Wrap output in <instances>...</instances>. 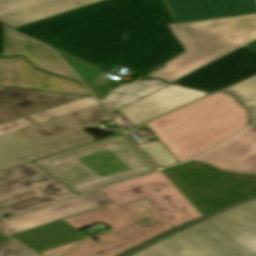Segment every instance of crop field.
I'll list each match as a JSON object with an SVG mask.
<instances>
[{"instance_id":"1","label":"crop field","mask_w":256,"mask_h":256,"mask_svg":"<svg viewBox=\"0 0 256 256\" xmlns=\"http://www.w3.org/2000/svg\"><path fill=\"white\" fill-rule=\"evenodd\" d=\"M171 23L164 0H104L14 30L107 72L123 66L141 77L186 51Z\"/></svg>"},{"instance_id":"2","label":"crop field","mask_w":256,"mask_h":256,"mask_svg":"<svg viewBox=\"0 0 256 256\" xmlns=\"http://www.w3.org/2000/svg\"><path fill=\"white\" fill-rule=\"evenodd\" d=\"M71 192L99 189L155 169L120 133L33 161Z\"/></svg>"},{"instance_id":"3","label":"crop field","mask_w":256,"mask_h":256,"mask_svg":"<svg viewBox=\"0 0 256 256\" xmlns=\"http://www.w3.org/2000/svg\"><path fill=\"white\" fill-rule=\"evenodd\" d=\"M147 125L179 162L249 126L246 109L225 93L210 95Z\"/></svg>"},{"instance_id":"4","label":"crop field","mask_w":256,"mask_h":256,"mask_svg":"<svg viewBox=\"0 0 256 256\" xmlns=\"http://www.w3.org/2000/svg\"><path fill=\"white\" fill-rule=\"evenodd\" d=\"M133 256H256V200L214 215Z\"/></svg>"},{"instance_id":"5","label":"crop field","mask_w":256,"mask_h":256,"mask_svg":"<svg viewBox=\"0 0 256 256\" xmlns=\"http://www.w3.org/2000/svg\"><path fill=\"white\" fill-rule=\"evenodd\" d=\"M187 49L150 77L174 81L256 39V14L172 26Z\"/></svg>"},{"instance_id":"6","label":"crop field","mask_w":256,"mask_h":256,"mask_svg":"<svg viewBox=\"0 0 256 256\" xmlns=\"http://www.w3.org/2000/svg\"><path fill=\"white\" fill-rule=\"evenodd\" d=\"M77 230L104 223L113 230L90 237L65 256H87L99 251L163 233L173 226L147 198L123 205H107L61 219Z\"/></svg>"},{"instance_id":"7","label":"crop field","mask_w":256,"mask_h":256,"mask_svg":"<svg viewBox=\"0 0 256 256\" xmlns=\"http://www.w3.org/2000/svg\"><path fill=\"white\" fill-rule=\"evenodd\" d=\"M162 172L202 215L256 195V175L226 172L195 161Z\"/></svg>"},{"instance_id":"8","label":"crop field","mask_w":256,"mask_h":256,"mask_svg":"<svg viewBox=\"0 0 256 256\" xmlns=\"http://www.w3.org/2000/svg\"><path fill=\"white\" fill-rule=\"evenodd\" d=\"M72 196L32 162L0 172V207L13 215Z\"/></svg>"},{"instance_id":"9","label":"crop field","mask_w":256,"mask_h":256,"mask_svg":"<svg viewBox=\"0 0 256 256\" xmlns=\"http://www.w3.org/2000/svg\"><path fill=\"white\" fill-rule=\"evenodd\" d=\"M99 192L118 206L147 197L174 227L202 216L161 171Z\"/></svg>"},{"instance_id":"10","label":"crop field","mask_w":256,"mask_h":256,"mask_svg":"<svg viewBox=\"0 0 256 256\" xmlns=\"http://www.w3.org/2000/svg\"><path fill=\"white\" fill-rule=\"evenodd\" d=\"M110 119L112 117L94 98L85 97L16 121L34 136L40 137L71 127L100 129V122Z\"/></svg>"},{"instance_id":"11","label":"crop field","mask_w":256,"mask_h":256,"mask_svg":"<svg viewBox=\"0 0 256 256\" xmlns=\"http://www.w3.org/2000/svg\"><path fill=\"white\" fill-rule=\"evenodd\" d=\"M93 141L96 139L77 128L40 138L32 136L0 147V171Z\"/></svg>"},{"instance_id":"12","label":"crop field","mask_w":256,"mask_h":256,"mask_svg":"<svg viewBox=\"0 0 256 256\" xmlns=\"http://www.w3.org/2000/svg\"><path fill=\"white\" fill-rule=\"evenodd\" d=\"M256 73V52L242 47L174 83L218 91Z\"/></svg>"},{"instance_id":"13","label":"crop field","mask_w":256,"mask_h":256,"mask_svg":"<svg viewBox=\"0 0 256 256\" xmlns=\"http://www.w3.org/2000/svg\"><path fill=\"white\" fill-rule=\"evenodd\" d=\"M0 86L90 95L84 86L43 73L23 57L0 59Z\"/></svg>"},{"instance_id":"14","label":"crop field","mask_w":256,"mask_h":256,"mask_svg":"<svg viewBox=\"0 0 256 256\" xmlns=\"http://www.w3.org/2000/svg\"><path fill=\"white\" fill-rule=\"evenodd\" d=\"M194 160L226 171L256 174V128H247Z\"/></svg>"},{"instance_id":"15","label":"crop field","mask_w":256,"mask_h":256,"mask_svg":"<svg viewBox=\"0 0 256 256\" xmlns=\"http://www.w3.org/2000/svg\"><path fill=\"white\" fill-rule=\"evenodd\" d=\"M207 94L211 93L171 84L117 110V112L124 118H128L136 127Z\"/></svg>"},{"instance_id":"16","label":"crop field","mask_w":256,"mask_h":256,"mask_svg":"<svg viewBox=\"0 0 256 256\" xmlns=\"http://www.w3.org/2000/svg\"><path fill=\"white\" fill-rule=\"evenodd\" d=\"M112 203L98 191L0 222V231L11 235L63 217Z\"/></svg>"},{"instance_id":"17","label":"crop field","mask_w":256,"mask_h":256,"mask_svg":"<svg viewBox=\"0 0 256 256\" xmlns=\"http://www.w3.org/2000/svg\"><path fill=\"white\" fill-rule=\"evenodd\" d=\"M101 0H0V24L13 29Z\"/></svg>"},{"instance_id":"18","label":"crop field","mask_w":256,"mask_h":256,"mask_svg":"<svg viewBox=\"0 0 256 256\" xmlns=\"http://www.w3.org/2000/svg\"><path fill=\"white\" fill-rule=\"evenodd\" d=\"M176 23L256 12V0H165Z\"/></svg>"},{"instance_id":"19","label":"crop field","mask_w":256,"mask_h":256,"mask_svg":"<svg viewBox=\"0 0 256 256\" xmlns=\"http://www.w3.org/2000/svg\"><path fill=\"white\" fill-rule=\"evenodd\" d=\"M79 98L82 96L4 88L0 90V123Z\"/></svg>"},{"instance_id":"20","label":"crop field","mask_w":256,"mask_h":256,"mask_svg":"<svg viewBox=\"0 0 256 256\" xmlns=\"http://www.w3.org/2000/svg\"><path fill=\"white\" fill-rule=\"evenodd\" d=\"M14 55H23L42 70L76 79L53 52L3 28L2 57Z\"/></svg>"},{"instance_id":"21","label":"crop field","mask_w":256,"mask_h":256,"mask_svg":"<svg viewBox=\"0 0 256 256\" xmlns=\"http://www.w3.org/2000/svg\"><path fill=\"white\" fill-rule=\"evenodd\" d=\"M11 237L34 252L39 253L87 236L59 220L11 235Z\"/></svg>"},{"instance_id":"22","label":"crop field","mask_w":256,"mask_h":256,"mask_svg":"<svg viewBox=\"0 0 256 256\" xmlns=\"http://www.w3.org/2000/svg\"><path fill=\"white\" fill-rule=\"evenodd\" d=\"M167 85L169 83L160 80H137L119 86L102 103L111 112Z\"/></svg>"},{"instance_id":"23","label":"crop field","mask_w":256,"mask_h":256,"mask_svg":"<svg viewBox=\"0 0 256 256\" xmlns=\"http://www.w3.org/2000/svg\"><path fill=\"white\" fill-rule=\"evenodd\" d=\"M224 92L232 94L250 111L251 124L256 121V77L235 85Z\"/></svg>"},{"instance_id":"24","label":"crop field","mask_w":256,"mask_h":256,"mask_svg":"<svg viewBox=\"0 0 256 256\" xmlns=\"http://www.w3.org/2000/svg\"><path fill=\"white\" fill-rule=\"evenodd\" d=\"M140 150L146 152L158 165L165 167L178 161L168 152V150L158 141L146 142L135 145Z\"/></svg>"},{"instance_id":"25","label":"crop field","mask_w":256,"mask_h":256,"mask_svg":"<svg viewBox=\"0 0 256 256\" xmlns=\"http://www.w3.org/2000/svg\"><path fill=\"white\" fill-rule=\"evenodd\" d=\"M58 54L72 67V69L78 74V76L88 85H94L100 70L81 63L59 51Z\"/></svg>"},{"instance_id":"26","label":"crop field","mask_w":256,"mask_h":256,"mask_svg":"<svg viewBox=\"0 0 256 256\" xmlns=\"http://www.w3.org/2000/svg\"><path fill=\"white\" fill-rule=\"evenodd\" d=\"M32 136L15 120L0 125V146Z\"/></svg>"},{"instance_id":"27","label":"crop field","mask_w":256,"mask_h":256,"mask_svg":"<svg viewBox=\"0 0 256 256\" xmlns=\"http://www.w3.org/2000/svg\"><path fill=\"white\" fill-rule=\"evenodd\" d=\"M26 250L28 249L22 247L12 240L0 244V256H17Z\"/></svg>"},{"instance_id":"28","label":"crop field","mask_w":256,"mask_h":256,"mask_svg":"<svg viewBox=\"0 0 256 256\" xmlns=\"http://www.w3.org/2000/svg\"><path fill=\"white\" fill-rule=\"evenodd\" d=\"M154 237V236H152ZM152 237H149V238H146V239H143V240H139V241H136V242H133V243H130V244H126V245H123V246H120V247H116V248H113V249H109V250H106V251H103V252H100L102 253L100 256H117L118 254L132 248L133 246L141 243V242H144ZM90 256H98L96 254H93V255H90Z\"/></svg>"},{"instance_id":"29","label":"crop field","mask_w":256,"mask_h":256,"mask_svg":"<svg viewBox=\"0 0 256 256\" xmlns=\"http://www.w3.org/2000/svg\"><path fill=\"white\" fill-rule=\"evenodd\" d=\"M79 242V241H77ZM77 242L70 243L52 250H48L42 253H39L42 256H61L64 254L66 251H68L72 246H74Z\"/></svg>"},{"instance_id":"30","label":"crop field","mask_w":256,"mask_h":256,"mask_svg":"<svg viewBox=\"0 0 256 256\" xmlns=\"http://www.w3.org/2000/svg\"><path fill=\"white\" fill-rule=\"evenodd\" d=\"M112 87L113 85L107 87H90V89L98 99H102Z\"/></svg>"},{"instance_id":"31","label":"crop field","mask_w":256,"mask_h":256,"mask_svg":"<svg viewBox=\"0 0 256 256\" xmlns=\"http://www.w3.org/2000/svg\"><path fill=\"white\" fill-rule=\"evenodd\" d=\"M245 46H247V47H249V48H251V49L256 51V40L251 42V43H249V44H247V45H245Z\"/></svg>"},{"instance_id":"32","label":"crop field","mask_w":256,"mask_h":256,"mask_svg":"<svg viewBox=\"0 0 256 256\" xmlns=\"http://www.w3.org/2000/svg\"><path fill=\"white\" fill-rule=\"evenodd\" d=\"M19 256H36V255L33 254L31 251L28 250V251H26V252L20 254Z\"/></svg>"},{"instance_id":"33","label":"crop field","mask_w":256,"mask_h":256,"mask_svg":"<svg viewBox=\"0 0 256 256\" xmlns=\"http://www.w3.org/2000/svg\"><path fill=\"white\" fill-rule=\"evenodd\" d=\"M10 240L8 237L0 234V243Z\"/></svg>"},{"instance_id":"34","label":"crop field","mask_w":256,"mask_h":256,"mask_svg":"<svg viewBox=\"0 0 256 256\" xmlns=\"http://www.w3.org/2000/svg\"><path fill=\"white\" fill-rule=\"evenodd\" d=\"M112 81H116V80L108 79L106 82H104V83H103V84H101V85H106V84H108L109 82H112Z\"/></svg>"},{"instance_id":"35","label":"crop field","mask_w":256,"mask_h":256,"mask_svg":"<svg viewBox=\"0 0 256 256\" xmlns=\"http://www.w3.org/2000/svg\"><path fill=\"white\" fill-rule=\"evenodd\" d=\"M100 79H101V77H99V79H98L96 85H98L99 83H101L102 81H104V80L107 79V78H105V79H103V80H100Z\"/></svg>"},{"instance_id":"36","label":"crop field","mask_w":256,"mask_h":256,"mask_svg":"<svg viewBox=\"0 0 256 256\" xmlns=\"http://www.w3.org/2000/svg\"><path fill=\"white\" fill-rule=\"evenodd\" d=\"M254 126H256V124Z\"/></svg>"},{"instance_id":"37","label":"crop field","mask_w":256,"mask_h":256,"mask_svg":"<svg viewBox=\"0 0 256 256\" xmlns=\"http://www.w3.org/2000/svg\"><path fill=\"white\" fill-rule=\"evenodd\" d=\"M76 195H78V194H76Z\"/></svg>"},{"instance_id":"38","label":"crop field","mask_w":256,"mask_h":256,"mask_svg":"<svg viewBox=\"0 0 256 256\" xmlns=\"http://www.w3.org/2000/svg\"><path fill=\"white\" fill-rule=\"evenodd\" d=\"M1 89V88H0Z\"/></svg>"}]
</instances>
